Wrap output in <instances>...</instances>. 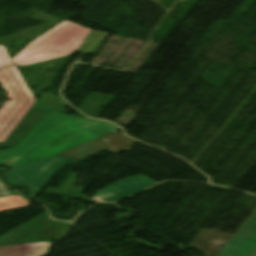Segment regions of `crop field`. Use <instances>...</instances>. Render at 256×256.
Returning a JSON list of instances; mask_svg holds the SVG:
<instances>
[{
    "label": "crop field",
    "instance_id": "dd49c442",
    "mask_svg": "<svg viewBox=\"0 0 256 256\" xmlns=\"http://www.w3.org/2000/svg\"><path fill=\"white\" fill-rule=\"evenodd\" d=\"M232 237V234L201 229L190 245L184 250L187 251L190 248H195L204 256H217L223 249L220 246H226Z\"/></svg>",
    "mask_w": 256,
    "mask_h": 256
},
{
    "label": "crop field",
    "instance_id": "cbeb9de0",
    "mask_svg": "<svg viewBox=\"0 0 256 256\" xmlns=\"http://www.w3.org/2000/svg\"><path fill=\"white\" fill-rule=\"evenodd\" d=\"M12 65L8 60L3 47H0V69Z\"/></svg>",
    "mask_w": 256,
    "mask_h": 256
},
{
    "label": "crop field",
    "instance_id": "f4fd0767",
    "mask_svg": "<svg viewBox=\"0 0 256 256\" xmlns=\"http://www.w3.org/2000/svg\"><path fill=\"white\" fill-rule=\"evenodd\" d=\"M157 184L144 175L122 180L95 194L93 199L115 202L128 195Z\"/></svg>",
    "mask_w": 256,
    "mask_h": 256
},
{
    "label": "crop field",
    "instance_id": "ac0d7876",
    "mask_svg": "<svg viewBox=\"0 0 256 256\" xmlns=\"http://www.w3.org/2000/svg\"><path fill=\"white\" fill-rule=\"evenodd\" d=\"M90 31L85 27L64 21L32 41L12 61L15 65L26 66L68 56L81 46Z\"/></svg>",
    "mask_w": 256,
    "mask_h": 256
},
{
    "label": "crop field",
    "instance_id": "412701ff",
    "mask_svg": "<svg viewBox=\"0 0 256 256\" xmlns=\"http://www.w3.org/2000/svg\"><path fill=\"white\" fill-rule=\"evenodd\" d=\"M6 99L10 100V102L3 103L0 109V143L4 142L35 103L32 100L18 98Z\"/></svg>",
    "mask_w": 256,
    "mask_h": 256
},
{
    "label": "crop field",
    "instance_id": "22f410ed",
    "mask_svg": "<svg viewBox=\"0 0 256 256\" xmlns=\"http://www.w3.org/2000/svg\"><path fill=\"white\" fill-rule=\"evenodd\" d=\"M235 256H256V231Z\"/></svg>",
    "mask_w": 256,
    "mask_h": 256
},
{
    "label": "crop field",
    "instance_id": "8a807250",
    "mask_svg": "<svg viewBox=\"0 0 256 256\" xmlns=\"http://www.w3.org/2000/svg\"><path fill=\"white\" fill-rule=\"evenodd\" d=\"M117 130L118 127L108 122L49 112L16 148L0 150V165L12 167L11 171L2 174L7 175Z\"/></svg>",
    "mask_w": 256,
    "mask_h": 256
},
{
    "label": "crop field",
    "instance_id": "d1516ede",
    "mask_svg": "<svg viewBox=\"0 0 256 256\" xmlns=\"http://www.w3.org/2000/svg\"><path fill=\"white\" fill-rule=\"evenodd\" d=\"M29 204L30 203H28L18 195L7 196V197L0 198V211L22 207Z\"/></svg>",
    "mask_w": 256,
    "mask_h": 256
},
{
    "label": "crop field",
    "instance_id": "e52e79f7",
    "mask_svg": "<svg viewBox=\"0 0 256 256\" xmlns=\"http://www.w3.org/2000/svg\"><path fill=\"white\" fill-rule=\"evenodd\" d=\"M0 83L3 89L8 92L6 97H19L35 100L15 66L0 71Z\"/></svg>",
    "mask_w": 256,
    "mask_h": 256
},
{
    "label": "crop field",
    "instance_id": "d8731c3e",
    "mask_svg": "<svg viewBox=\"0 0 256 256\" xmlns=\"http://www.w3.org/2000/svg\"><path fill=\"white\" fill-rule=\"evenodd\" d=\"M40 103H42L40 105ZM49 103L48 108H51L54 111L61 112L67 107V103L57 97L44 93L34 104L35 107H43L42 110L37 108H31L30 112L22 119L21 123L29 124L36 126L41 118L48 113V111L43 110L46 105ZM40 105V106H39Z\"/></svg>",
    "mask_w": 256,
    "mask_h": 256
},
{
    "label": "crop field",
    "instance_id": "34b2d1b8",
    "mask_svg": "<svg viewBox=\"0 0 256 256\" xmlns=\"http://www.w3.org/2000/svg\"><path fill=\"white\" fill-rule=\"evenodd\" d=\"M65 161L66 159L54 156L11 173L6 176V180L16 186H27L29 197L34 198Z\"/></svg>",
    "mask_w": 256,
    "mask_h": 256
},
{
    "label": "crop field",
    "instance_id": "28ad6ade",
    "mask_svg": "<svg viewBox=\"0 0 256 256\" xmlns=\"http://www.w3.org/2000/svg\"><path fill=\"white\" fill-rule=\"evenodd\" d=\"M107 36V33L92 30L77 51L94 55Z\"/></svg>",
    "mask_w": 256,
    "mask_h": 256
},
{
    "label": "crop field",
    "instance_id": "5142ce71",
    "mask_svg": "<svg viewBox=\"0 0 256 256\" xmlns=\"http://www.w3.org/2000/svg\"><path fill=\"white\" fill-rule=\"evenodd\" d=\"M0 192H1L0 197L7 196V195H12L1 184H0Z\"/></svg>",
    "mask_w": 256,
    "mask_h": 256
},
{
    "label": "crop field",
    "instance_id": "5a996713",
    "mask_svg": "<svg viewBox=\"0 0 256 256\" xmlns=\"http://www.w3.org/2000/svg\"><path fill=\"white\" fill-rule=\"evenodd\" d=\"M51 245L49 242H43L0 247V256H45Z\"/></svg>",
    "mask_w": 256,
    "mask_h": 256
},
{
    "label": "crop field",
    "instance_id": "3316defc",
    "mask_svg": "<svg viewBox=\"0 0 256 256\" xmlns=\"http://www.w3.org/2000/svg\"><path fill=\"white\" fill-rule=\"evenodd\" d=\"M255 230H256V212L251 216V218L245 223V225L232 238V240L220 252L218 256H234Z\"/></svg>",
    "mask_w": 256,
    "mask_h": 256
}]
</instances>
